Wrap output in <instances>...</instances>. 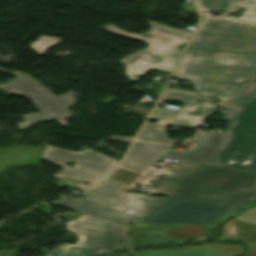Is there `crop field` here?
I'll use <instances>...</instances> for the list:
<instances>
[{"label": "crop field", "mask_w": 256, "mask_h": 256, "mask_svg": "<svg viewBox=\"0 0 256 256\" xmlns=\"http://www.w3.org/2000/svg\"><path fill=\"white\" fill-rule=\"evenodd\" d=\"M140 175L141 174L119 168V170L113 176V179L129 185L133 180L138 178Z\"/></svg>", "instance_id": "crop-field-21"}, {"label": "crop field", "mask_w": 256, "mask_h": 256, "mask_svg": "<svg viewBox=\"0 0 256 256\" xmlns=\"http://www.w3.org/2000/svg\"><path fill=\"white\" fill-rule=\"evenodd\" d=\"M167 127L166 125L146 122L137 139L175 145L179 141L167 138Z\"/></svg>", "instance_id": "crop-field-19"}, {"label": "crop field", "mask_w": 256, "mask_h": 256, "mask_svg": "<svg viewBox=\"0 0 256 256\" xmlns=\"http://www.w3.org/2000/svg\"><path fill=\"white\" fill-rule=\"evenodd\" d=\"M61 40V38L39 35L38 40L31 42L28 47L32 48L37 55H42L50 46L60 43Z\"/></svg>", "instance_id": "crop-field-20"}, {"label": "crop field", "mask_w": 256, "mask_h": 256, "mask_svg": "<svg viewBox=\"0 0 256 256\" xmlns=\"http://www.w3.org/2000/svg\"><path fill=\"white\" fill-rule=\"evenodd\" d=\"M256 74V54L188 49L173 78L199 91L233 95Z\"/></svg>", "instance_id": "crop-field-2"}, {"label": "crop field", "mask_w": 256, "mask_h": 256, "mask_svg": "<svg viewBox=\"0 0 256 256\" xmlns=\"http://www.w3.org/2000/svg\"><path fill=\"white\" fill-rule=\"evenodd\" d=\"M165 158L178 161L176 168L160 167L146 174L256 194V175L165 156L160 160Z\"/></svg>", "instance_id": "crop-field-9"}, {"label": "crop field", "mask_w": 256, "mask_h": 256, "mask_svg": "<svg viewBox=\"0 0 256 256\" xmlns=\"http://www.w3.org/2000/svg\"><path fill=\"white\" fill-rule=\"evenodd\" d=\"M113 252L92 247L64 244L47 256H110Z\"/></svg>", "instance_id": "crop-field-18"}, {"label": "crop field", "mask_w": 256, "mask_h": 256, "mask_svg": "<svg viewBox=\"0 0 256 256\" xmlns=\"http://www.w3.org/2000/svg\"><path fill=\"white\" fill-rule=\"evenodd\" d=\"M200 11L246 7L240 18L202 17L189 48L256 53V0H195Z\"/></svg>", "instance_id": "crop-field-3"}, {"label": "crop field", "mask_w": 256, "mask_h": 256, "mask_svg": "<svg viewBox=\"0 0 256 256\" xmlns=\"http://www.w3.org/2000/svg\"><path fill=\"white\" fill-rule=\"evenodd\" d=\"M214 225L127 224L130 244L203 239L211 235Z\"/></svg>", "instance_id": "crop-field-12"}, {"label": "crop field", "mask_w": 256, "mask_h": 256, "mask_svg": "<svg viewBox=\"0 0 256 256\" xmlns=\"http://www.w3.org/2000/svg\"><path fill=\"white\" fill-rule=\"evenodd\" d=\"M171 148L166 145L135 141L121 167L143 172Z\"/></svg>", "instance_id": "crop-field-13"}, {"label": "crop field", "mask_w": 256, "mask_h": 256, "mask_svg": "<svg viewBox=\"0 0 256 256\" xmlns=\"http://www.w3.org/2000/svg\"><path fill=\"white\" fill-rule=\"evenodd\" d=\"M242 92L251 93L256 95V79L253 80Z\"/></svg>", "instance_id": "crop-field-24"}, {"label": "crop field", "mask_w": 256, "mask_h": 256, "mask_svg": "<svg viewBox=\"0 0 256 256\" xmlns=\"http://www.w3.org/2000/svg\"><path fill=\"white\" fill-rule=\"evenodd\" d=\"M240 253H242L240 245L215 244L198 248L139 253L137 256H236Z\"/></svg>", "instance_id": "crop-field-15"}, {"label": "crop field", "mask_w": 256, "mask_h": 256, "mask_svg": "<svg viewBox=\"0 0 256 256\" xmlns=\"http://www.w3.org/2000/svg\"><path fill=\"white\" fill-rule=\"evenodd\" d=\"M115 99H116V98L109 96V97H107L106 99L102 100V102L109 104V103H111L112 101H114ZM99 101H100V100H99Z\"/></svg>", "instance_id": "crop-field-27"}, {"label": "crop field", "mask_w": 256, "mask_h": 256, "mask_svg": "<svg viewBox=\"0 0 256 256\" xmlns=\"http://www.w3.org/2000/svg\"><path fill=\"white\" fill-rule=\"evenodd\" d=\"M49 204L61 206L64 208L79 211L81 213L89 214L113 222L125 225L124 212L81 198H71L67 196L61 197V200H55Z\"/></svg>", "instance_id": "crop-field-14"}, {"label": "crop field", "mask_w": 256, "mask_h": 256, "mask_svg": "<svg viewBox=\"0 0 256 256\" xmlns=\"http://www.w3.org/2000/svg\"><path fill=\"white\" fill-rule=\"evenodd\" d=\"M0 71L6 72V73L10 72V71L5 70V69H3V68H1V67H0Z\"/></svg>", "instance_id": "crop-field-29"}, {"label": "crop field", "mask_w": 256, "mask_h": 256, "mask_svg": "<svg viewBox=\"0 0 256 256\" xmlns=\"http://www.w3.org/2000/svg\"><path fill=\"white\" fill-rule=\"evenodd\" d=\"M127 185L111 179L103 186L85 192L89 195L83 199L110 206L124 211L122 190Z\"/></svg>", "instance_id": "crop-field-16"}, {"label": "crop field", "mask_w": 256, "mask_h": 256, "mask_svg": "<svg viewBox=\"0 0 256 256\" xmlns=\"http://www.w3.org/2000/svg\"><path fill=\"white\" fill-rule=\"evenodd\" d=\"M41 157L64 168L54 174V177L79 189L93 187L103 182L118 164V161L90 149L75 153L48 145ZM70 161L74 162V168L65 166Z\"/></svg>", "instance_id": "crop-field-6"}, {"label": "crop field", "mask_w": 256, "mask_h": 256, "mask_svg": "<svg viewBox=\"0 0 256 256\" xmlns=\"http://www.w3.org/2000/svg\"><path fill=\"white\" fill-rule=\"evenodd\" d=\"M146 22L151 28L142 35L126 33L109 23L100 27L107 32L132 37L148 44V47L117 61L125 66L124 76L134 82L152 68L172 72L192 35L191 32L172 29L149 20Z\"/></svg>", "instance_id": "crop-field-4"}, {"label": "crop field", "mask_w": 256, "mask_h": 256, "mask_svg": "<svg viewBox=\"0 0 256 256\" xmlns=\"http://www.w3.org/2000/svg\"><path fill=\"white\" fill-rule=\"evenodd\" d=\"M130 254H132V252H131V251H129V252H125V253H123L121 256H129Z\"/></svg>", "instance_id": "crop-field-28"}, {"label": "crop field", "mask_w": 256, "mask_h": 256, "mask_svg": "<svg viewBox=\"0 0 256 256\" xmlns=\"http://www.w3.org/2000/svg\"><path fill=\"white\" fill-rule=\"evenodd\" d=\"M230 97L229 95L166 88L160 102H181L184 106L174 110L158 105L151 118L158 119V122L164 124L195 128Z\"/></svg>", "instance_id": "crop-field-8"}, {"label": "crop field", "mask_w": 256, "mask_h": 256, "mask_svg": "<svg viewBox=\"0 0 256 256\" xmlns=\"http://www.w3.org/2000/svg\"><path fill=\"white\" fill-rule=\"evenodd\" d=\"M216 242H213L211 244H203V245H194V246H186V247H177V248H168V249H178V248H188V247H198V246H205V245H213ZM168 249H156V250H140V251H134L135 253L139 252H148V251H158V250H168Z\"/></svg>", "instance_id": "crop-field-26"}, {"label": "crop field", "mask_w": 256, "mask_h": 256, "mask_svg": "<svg viewBox=\"0 0 256 256\" xmlns=\"http://www.w3.org/2000/svg\"><path fill=\"white\" fill-rule=\"evenodd\" d=\"M222 109L230 121L222 135L199 131L192 138L196 147L165 156L256 173V97L238 93Z\"/></svg>", "instance_id": "crop-field-1"}, {"label": "crop field", "mask_w": 256, "mask_h": 256, "mask_svg": "<svg viewBox=\"0 0 256 256\" xmlns=\"http://www.w3.org/2000/svg\"><path fill=\"white\" fill-rule=\"evenodd\" d=\"M67 231L76 235V244L118 250L126 247L125 226L89 215L66 222Z\"/></svg>", "instance_id": "crop-field-11"}, {"label": "crop field", "mask_w": 256, "mask_h": 256, "mask_svg": "<svg viewBox=\"0 0 256 256\" xmlns=\"http://www.w3.org/2000/svg\"><path fill=\"white\" fill-rule=\"evenodd\" d=\"M127 223L215 224L234 209L125 192Z\"/></svg>", "instance_id": "crop-field-5"}, {"label": "crop field", "mask_w": 256, "mask_h": 256, "mask_svg": "<svg viewBox=\"0 0 256 256\" xmlns=\"http://www.w3.org/2000/svg\"><path fill=\"white\" fill-rule=\"evenodd\" d=\"M107 139L114 140V141H120V142H126V143H130V141L132 140V138H130V137H122V136H113V137H109Z\"/></svg>", "instance_id": "crop-field-25"}, {"label": "crop field", "mask_w": 256, "mask_h": 256, "mask_svg": "<svg viewBox=\"0 0 256 256\" xmlns=\"http://www.w3.org/2000/svg\"><path fill=\"white\" fill-rule=\"evenodd\" d=\"M224 239L243 240L248 244L246 256H256V225L232 219L223 226Z\"/></svg>", "instance_id": "crop-field-17"}, {"label": "crop field", "mask_w": 256, "mask_h": 256, "mask_svg": "<svg viewBox=\"0 0 256 256\" xmlns=\"http://www.w3.org/2000/svg\"><path fill=\"white\" fill-rule=\"evenodd\" d=\"M251 207H255V206H251ZM248 207V208H251ZM247 209V208H246ZM245 210V209H244ZM244 210L238 212L234 218H236L241 212H243ZM236 219H240V220H244V221H248L251 223H255L256 224V208L247 210L245 212H243L239 217H237Z\"/></svg>", "instance_id": "crop-field-22"}, {"label": "crop field", "mask_w": 256, "mask_h": 256, "mask_svg": "<svg viewBox=\"0 0 256 256\" xmlns=\"http://www.w3.org/2000/svg\"><path fill=\"white\" fill-rule=\"evenodd\" d=\"M135 183L149 185L142 188L148 193L168 198L203 202L236 208L243 203L256 201V195L197 185L153 176H142ZM132 191L141 189L129 187Z\"/></svg>", "instance_id": "crop-field-7"}, {"label": "crop field", "mask_w": 256, "mask_h": 256, "mask_svg": "<svg viewBox=\"0 0 256 256\" xmlns=\"http://www.w3.org/2000/svg\"><path fill=\"white\" fill-rule=\"evenodd\" d=\"M11 75L16 79L7 81V84H1L0 90L26 95L43 111L23 115L25 122L17 123L20 128H26L42 120H58L61 125H67L64 120L69 116L67 107L76 101L72 93L68 92L61 96H53L47 88L29 76L17 72H13Z\"/></svg>", "instance_id": "crop-field-10"}, {"label": "crop field", "mask_w": 256, "mask_h": 256, "mask_svg": "<svg viewBox=\"0 0 256 256\" xmlns=\"http://www.w3.org/2000/svg\"><path fill=\"white\" fill-rule=\"evenodd\" d=\"M26 248L35 249V248H32V247H26ZM26 248L0 250V256H16L17 250L26 249ZM36 250L44 251L42 253L43 255H47L49 252H51V250H47V249H36Z\"/></svg>", "instance_id": "crop-field-23"}]
</instances>
